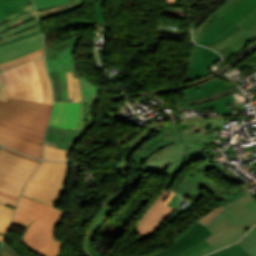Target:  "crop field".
<instances>
[{"mask_svg": "<svg viewBox=\"0 0 256 256\" xmlns=\"http://www.w3.org/2000/svg\"><path fill=\"white\" fill-rule=\"evenodd\" d=\"M16 213L35 219L23 235L24 245L41 256H58L64 242L54 240V236L64 212L21 197Z\"/></svg>", "mask_w": 256, "mask_h": 256, "instance_id": "1", "label": "crop field"}, {"mask_svg": "<svg viewBox=\"0 0 256 256\" xmlns=\"http://www.w3.org/2000/svg\"><path fill=\"white\" fill-rule=\"evenodd\" d=\"M51 105L9 98L0 101V130L43 145Z\"/></svg>", "mask_w": 256, "mask_h": 256, "instance_id": "2", "label": "crop field"}, {"mask_svg": "<svg viewBox=\"0 0 256 256\" xmlns=\"http://www.w3.org/2000/svg\"><path fill=\"white\" fill-rule=\"evenodd\" d=\"M171 140L174 144L149 157L145 165V172L169 177L163 186L165 189L184 165L200 158L210 161L203 151L212 144L208 137L185 134Z\"/></svg>", "mask_w": 256, "mask_h": 256, "instance_id": "3", "label": "crop field"}, {"mask_svg": "<svg viewBox=\"0 0 256 256\" xmlns=\"http://www.w3.org/2000/svg\"><path fill=\"white\" fill-rule=\"evenodd\" d=\"M239 201L248 208L254 216L240 220L227 207L213 220L205 225L213 234L207 240L215 250L238 240L254 223H256V201L248 194Z\"/></svg>", "mask_w": 256, "mask_h": 256, "instance_id": "4", "label": "crop field"}, {"mask_svg": "<svg viewBox=\"0 0 256 256\" xmlns=\"http://www.w3.org/2000/svg\"><path fill=\"white\" fill-rule=\"evenodd\" d=\"M79 38L80 36H77L46 49V62L49 73L60 72L63 101H67L66 71H73L74 77H78L72 53ZM79 81L82 100L86 102H96L98 88L89 83L84 77L79 78Z\"/></svg>", "mask_w": 256, "mask_h": 256, "instance_id": "5", "label": "crop field"}, {"mask_svg": "<svg viewBox=\"0 0 256 256\" xmlns=\"http://www.w3.org/2000/svg\"><path fill=\"white\" fill-rule=\"evenodd\" d=\"M97 232V229L92 228L88 236L87 250L91 256H100L92 246V241ZM210 235L212 234L204 225L194 222L169 246L145 256H201L214 251L211 245L204 240Z\"/></svg>", "mask_w": 256, "mask_h": 256, "instance_id": "6", "label": "crop field"}, {"mask_svg": "<svg viewBox=\"0 0 256 256\" xmlns=\"http://www.w3.org/2000/svg\"><path fill=\"white\" fill-rule=\"evenodd\" d=\"M4 74L9 97L42 102V88L33 61Z\"/></svg>", "mask_w": 256, "mask_h": 256, "instance_id": "7", "label": "crop field"}, {"mask_svg": "<svg viewBox=\"0 0 256 256\" xmlns=\"http://www.w3.org/2000/svg\"><path fill=\"white\" fill-rule=\"evenodd\" d=\"M214 166L205 161L192 170L185 174L179 185L175 189V192L179 193V195L184 199L186 195L193 197V199L188 203V205L184 208L183 212L186 213L188 209L194 206V204L200 199V197L204 194L200 189L203 187L206 191H208L212 196L222 193L226 191L212 179L207 177L204 173L210 171Z\"/></svg>", "mask_w": 256, "mask_h": 256, "instance_id": "8", "label": "crop field"}, {"mask_svg": "<svg viewBox=\"0 0 256 256\" xmlns=\"http://www.w3.org/2000/svg\"><path fill=\"white\" fill-rule=\"evenodd\" d=\"M68 168V162H56L46 183L29 181L23 196L54 206L63 192Z\"/></svg>", "mask_w": 256, "mask_h": 256, "instance_id": "9", "label": "crop field"}, {"mask_svg": "<svg viewBox=\"0 0 256 256\" xmlns=\"http://www.w3.org/2000/svg\"><path fill=\"white\" fill-rule=\"evenodd\" d=\"M235 25L241 29L222 40L212 49L218 51L226 59L256 38V9L243 17Z\"/></svg>", "mask_w": 256, "mask_h": 256, "instance_id": "10", "label": "crop field"}, {"mask_svg": "<svg viewBox=\"0 0 256 256\" xmlns=\"http://www.w3.org/2000/svg\"><path fill=\"white\" fill-rule=\"evenodd\" d=\"M31 174L22 166L0 159V190L19 197ZM0 202L16 207L18 201L0 195Z\"/></svg>", "mask_w": 256, "mask_h": 256, "instance_id": "11", "label": "crop field"}, {"mask_svg": "<svg viewBox=\"0 0 256 256\" xmlns=\"http://www.w3.org/2000/svg\"><path fill=\"white\" fill-rule=\"evenodd\" d=\"M175 193L163 191L149 207L145 215L137 224L139 239L150 237L155 230L170 216L175 210L166 204Z\"/></svg>", "mask_w": 256, "mask_h": 256, "instance_id": "12", "label": "crop field"}, {"mask_svg": "<svg viewBox=\"0 0 256 256\" xmlns=\"http://www.w3.org/2000/svg\"><path fill=\"white\" fill-rule=\"evenodd\" d=\"M220 56L207 48L194 45L189 57V70L182 82L208 74L207 68L217 62Z\"/></svg>", "mask_w": 256, "mask_h": 256, "instance_id": "13", "label": "crop field"}, {"mask_svg": "<svg viewBox=\"0 0 256 256\" xmlns=\"http://www.w3.org/2000/svg\"><path fill=\"white\" fill-rule=\"evenodd\" d=\"M43 33L15 43L0 47V64L23 55L32 53L43 47ZM1 72V71H0Z\"/></svg>", "mask_w": 256, "mask_h": 256, "instance_id": "14", "label": "crop field"}, {"mask_svg": "<svg viewBox=\"0 0 256 256\" xmlns=\"http://www.w3.org/2000/svg\"><path fill=\"white\" fill-rule=\"evenodd\" d=\"M80 103H60L56 102L52 112L51 125L62 128L76 130L79 120Z\"/></svg>", "mask_w": 256, "mask_h": 256, "instance_id": "15", "label": "crop field"}, {"mask_svg": "<svg viewBox=\"0 0 256 256\" xmlns=\"http://www.w3.org/2000/svg\"><path fill=\"white\" fill-rule=\"evenodd\" d=\"M0 145L19 151L31 157L41 158L42 145L19 136L0 131Z\"/></svg>", "mask_w": 256, "mask_h": 256, "instance_id": "16", "label": "crop field"}, {"mask_svg": "<svg viewBox=\"0 0 256 256\" xmlns=\"http://www.w3.org/2000/svg\"><path fill=\"white\" fill-rule=\"evenodd\" d=\"M231 87H233V85L213 78L203 84L183 91L184 98L180 99L179 101L204 98L206 96L222 92L224 89H229Z\"/></svg>", "mask_w": 256, "mask_h": 256, "instance_id": "17", "label": "crop field"}, {"mask_svg": "<svg viewBox=\"0 0 256 256\" xmlns=\"http://www.w3.org/2000/svg\"><path fill=\"white\" fill-rule=\"evenodd\" d=\"M240 0H225L195 30L194 41L197 43L224 15Z\"/></svg>", "mask_w": 256, "mask_h": 256, "instance_id": "18", "label": "crop field"}, {"mask_svg": "<svg viewBox=\"0 0 256 256\" xmlns=\"http://www.w3.org/2000/svg\"><path fill=\"white\" fill-rule=\"evenodd\" d=\"M256 8V0H241L238 2L229 12H227L224 16L221 18L232 23L228 28H226L222 33H220L210 44L216 42L221 36L225 35L232 29H234V24L240 20L243 16L248 14L250 11Z\"/></svg>", "mask_w": 256, "mask_h": 256, "instance_id": "19", "label": "crop field"}, {"mask_svg": "<svg viewBox=\"0 0 256 256\" xmlns=\"http://www.w3.org/2000/svg\"><path fill=\"white\" fill-rule=\"evenodd\" d=\"M157 127L156 124H151L148 126L143 132L139 135L135 136L127 145L126 147L128 150L126 151L124 157L118 163L116 169H124L127 161L131 159V154L137 149V147L144 142L147 137L151 134V132ZM143 138V139H141Z\"/></svg>", "mask_w": 256, "mask_h": 256, "instance_id": "20", "label": "crop field"}, {"mask_svg": "<svg viewBox=\"0 0 256 256\" xmlns=\"http://www.w3.org/2000/svg\"><path fill=\"white\" fill-rule=\"evenodd\" d=\"M246 101H247L246 97L240 94L239 92H237V93L224 96L217 100L209 101L199 105H193L192 108H217V107L238 104Z\"/></svg>", "mask_w": 256, "mask_h": 256, "instance_id": "21", "label": "crop field"}, {"mask_svg": "<svg viewBox=\"0 0 256 256\" xmlns=\"http://www.w3.org/2000/svg\"><path fill=\"white\" fill-rule=\"evenodd\" d=\"M34 62L42 83L43 102L52 105L53 103L52 92H51L50 83H49V79H48L46 68H45L44 58L34 60Z\"/></svg>", "mask_w": 256, "mask_h": 256, "instance_id": "22", "label": "crop field"}, {"mask_svg": "<svg viewBox=\"0 0 256 256\" xmlns=\"http://www.w3.org/2000/svg\"><path fill=\"white\" fill-rule=\"evenodd\" d=\"M31 3V0H0V21Z\"/></svg>", "mask_w": 256, "mask_h": 256, "instance_id": "23", "label": "crop field"}, {"mask_svg": "<svg viewBox=\"0 0 256 256\" xmlns=\"http://www.w3.org/2000/svg\"><path fill=\"white\" fill-rule=\"evenodd\" d=\"M41 56H44L43 48L38 50V51H36V52H34V53H32V54H29V55H26L24 57L12 60V61L4 63V64H1L0 65V70L2 72H4V71H6L8 69H11V68H14L16 66L22 65V64L27 63L29 61L37 59V58H39Z\"/></svg>", "mask_w": 256, "mask_h": 256, "instance_id": "24", "label": "crop field"}, {"mask_svg": "<svg viewBox=\"0 0 256 256\" xmlns=\"http://www.w3.org/2000/svg\"><path fill=\"white\" fill-rule=\"evenodd\" d=\"M68 78V101L72 99V102L81 101V93L79 87L78 78H73L72 72H67Z\"/></svg>", "mask_w": 256, "mask_h": 256, "instance_id": "25", "label": "crop field"}, {"mask_svg": "<svg viewBox=\"0 0 256 256\" xmlns=\"http://www.w3.org/2000/svg\"><path fill=\"white\" fill-rule=\"evenodd\" d=\"M0 158L10 161V162H13V163H16V164H19V165H22L32 171H34L35 167L38 165V163H35L33 161L16 156L14 154L3 151L1 149H0Z\"/></svg>", "mask_w": 256, "mask_h": 256, "instance_id": "26", "label": "crop field"}, {"mask_svg": "<svg viewBox=\"0 0 256 256\" xmlns=\"http://www.w3.org/2000/svg\"><path fill=\"white\" fill-rule=\"evenodd\" d=\"M54 163L52 161H43L40 163L30 180L45 183Z\"/></svg>", "mask_w": 256, "mask_h": 256, "instance_id": "27", "label": "crop field"}, {"mask_svg": "<svg viewBox=\"0 0 256 256\" xmlns=\"http://www.w3.org/2000/svg\"><path fill=\"white\" fill-rule=\"evenodd\" d=\"M238 243L251 256H256V226Z\"/></svg>", "mask_w": 256, "mask_h": 256, "instance_id": "28", "label": "crop field"}, {"mask_svg": "<svg viewBox=\"0 0 256 256\" xmlns=\"http://www.w3.org/2000/svg\"><path fill=\"white\" fill-rule=\"evenodd\" d=\"M229 25L228 22L221 19L198 43L206 46Z\"/></svg>", "mask_w": 256, "mask_h": 256, "instance_id": "29", "label": "crop field"}, {"mask_svg": "<svg viewBox=\"0 0 256 256\" xmlns=\"http://www.w3.org/2000/svg\"><path fill=\"white\" fill-rule=\"evenodd\" d=\"M70 152L44 145L43 159L67 160Z\"/></svg>", "mask_w": 256, "mask_h": 256, "instance_id": "30", "label": "crop field"}, {"mask_svg": "<svg viewBox=\"0 0 256 256\" xmlns=\"http://www.w3.org/2000/svg\"><path fill=\"white\" fill-rule=\"evenodd\" d=\"M96 2H97L96 8H95L96 22H98L99 31L106 33V31H105V29H106V20H105V16H104L103 7L101 6V4L103 3V0H96Z\"/></svg>", "mask_w": 256, "mask_h": 256, "instance_id": "31", "label": "crop field"}, {"mask_svg": "<svg viewBox=\"0 0 256 256\" xmlns=\"http://www.w3.org/2000/svg\"><path fill=\"white\" fill-rule=\"evenodd\" d=\"M227 207L232 210L240 219L247 218L252 215L251 212L246 209L238 200L229 204Z\"/></svg>", "mask_w": 256, "mask_h": 256, "instance_id": "32", "label": "crop field"}, {"mask_svg": "<svg viewBox=\"0 0 256 256\" xmlns=\"http://www.w3.org/2000/svg\"><path fill=\"white\" fill-rule=\"evenodd\" d=\"M15 208L0 203V220L4 222H11ZM4 236L0 235V241H3Z\"/></svg>", "mask_w": 256, "mask_h": 256, "instance_id": "33", "label": "crop field"}, {"mask_svg": "<svg viewBox=\"0 0 256 256\" xmlns=\"http://www.w3.org/2000/svg\"><path fill=\"white\" fill-rule=\"evenodd\" d=\"M66 1L69 0H33L37 11L60 5Z\"/></svg>", "mask_w": 256, "mask_h": 256, "instance_id": "34", "label": "crop field"}, {"mask_svg": "<svg viewBox=\"0 0 256 256\" xmlns=\"http://www.w3.org/2000/svg\"><path fill=\"white\" fill-rule=\"evenodd\" d=\"M245 194H247V193L238 190L237 192H235V193H233V194H231V195L221 199L220 205L226 206L227 204L231 203L235 199H237V198H239V197H241V196H243Z\"/></svg>", "mask_w": 256, "mask_h": 256, "instance_id": "35", "label": "crop field"}, {"mask_svg": "<svg viewBox=\"0 0 256 256\" xmlns=\"http://www.w3.org/2000/svg\"><path fill=\"white\" fill-rule=\"evenodd\" d=\"M32 221L33 219L25 218L16 214L12 224L27 228Z\"/></svg>", "mask_w": 256, "mask_h": 256, "instance_id": "36", "label": "crop field"}, {"mask_svg": "<svg viewBox=\"0 0 256 256\" xmlns=\"http://www.w3.org/2000/svg\"><path fill=\"white\" fill-rule=\"evenodd\" d=\"M233 256H250L238 243L228 247Z\"/></svg>", "mask_w": 256, "mask_h": 256, "instance_id": "37", "label": "crop field"}, {"mask_svg": "<svg viewBox=\"0 0 256 256\" xmlns=\"http://www.w3.org/2000/svg\"><path fill=\"white\" fill-rule=\"evenodd\" d=\"M222 206H217L216 208L209 211L207 214H205L201 219L198 221L206 224L210 219H212L217 213H219L222 210Z\"/></svg>", "mask_w": 256, "mask_h": 256, "instance_id": "38", "label": "crop field"}, {"mask_svg": "<svg viewBox=\"0 0 256 256\" xmlns=\"http://www.w3.org/2000/svg\"><path fill=\"white\" fill-rule=\"evenodd\" d=\"M8 99V90L3 77V74H0V100L7 101Z\"/></svg>", "mask_w": 256, "mask_h": 256, "instance_id": "39", "label": "crop field"}, {"mask_svg": "<svg viewBox=\"0 0 256 256\" xmlns=\"http://www.w3.org/2000/svg\"><path fill=\"white\" fill-rule=\"evenodd\" d=\"M87 106V122H86V127L84 128V131H87L88 128L92 125L93 123V117H94V105L93 104H86ZM92 114V116H90Z\"/></svg>", "mask_w": 256, "mask_h": 256, "instance_id": "40", "label": "crop field"}, {"mask_svg": "<svg viewBox=\"0 0 256 256\" xmlns=\"http://www.w3.org/2000/svg\"><path fill=\"white\" fill-rule=\"evenodd\" d=\"M83 132H78L76 131L74 136L72 137V139L70 140V142L67 144V146L65 147V150L67 151H71L76 147V143L77 141L81 138V136L83 135Z\"/></svg>", "mask_w": 256, "mask_h": 256, "instance_id": "41", "label": "crop field"}, {"mask_svg": "<svg viewBox=\"0 0 256 256\" xmlns=\"http://www.w3.org/2000/svg\"><path fill=\"white\" fill-rule=\"evenodd\" d=\"M86 122V106L85 104L81 103V113H80V120L78 122L77 130L82 131L85 127Z\"/></svg>", "mask_w": 256, "mask_h": 256, "instance_id": "42", "label": "crop field"}, {"mask_svg": "<svg viewBox=\"0 0 256 256\" xmlns=\"http://www.w3.org/2000/svg\"><path fill=\"white\" fill-rule=\"evenodd\" d=\"M208 256H232V255H231L230 251L228 250V248H225L223 250L214 252Z\"/></svg>", "mask_w": 256, "mask_h": 256, "instance_id": "43", "label": "crop field"}, {"mask_svg": "<svg viewBox=\"0 0 256 256\" xmlns=\"http://www.w3.org/2000/svg\"><path fill=\"white\" fill-rule=\"evenodd\" d=\"M0 256H16V255L13 252H11L10 250H8L7 248L3 247L0 250Z\"/></svg>", "mask_w": 256, "mask_h": 256, "instance_id": "44", "label": "crop field"}, {"mask_svg": "<svg viewBox=\"0 0 256 256\" xmlns=\"http://www.w3.org/2000/svg\"><path fill=\"white\" fill-rule=\"evenodd\" d=\"M182 200L178 197V195L176 194L175 196H174V198L171 200V202H170V206H173V207H175V208H177V206L180 204V202H181Z\"/></svg>", "mask_w": 256, "mask_h": 256, "instance_id": "45", "label": "crop field"}, {"mask_svg": "<svg viewBox=\"0 0 256 256\" xmlns=\"http://www.w3.org/2000/svg\"><path fill=\"white\" fill-rule=\"evenodd\" d=\"M9 225H10V224H8V223L0 222V233L6 234Z\"/></svg>", "mask_w": 256, "mask_h": 256, "instance_id": "46", "label": "crop field"}, {"mask_svg": "<svg viewBox=\"0 0 256 256\" xmlns=\"http://www.w3.org/2000/svg\"><path fill=\"white\" fill-rule=\"evenodd\" d=\"M1 149L6 150V151H9V152L14 153V154H17V155H19V156L25 157V158H27V159L33 160V161H35V162H38V163L40 162L39 160H35V159L30 158V157H27V156L18 154V153L14 152V151H12V150H10V149L3 148V147H1Z\"/></svg>", "mask_w": 256, "mask_h": 256, "instance_id": "47", "label": "crop field"}, {"mask_svg": "<svg viewBox=\"0 0 256 256\" xmlns=\"http://www.w3.org/2000/svg\"><path fill=\"white\" fill-rule=\"evenodd\" d=\"M216 111L218 112V114H231L230 111L227 109V107L218 108L216 109Z\"/></svg>", "mask_w": 256, "mask_h": 256, "instance_id": "48", "label": "crop field"}, {"mask_svg": "<svg viewBox=\"0 0 256 256\" xmlns=\"http://www.w3.org/2000/svg\"><path fill=\"white\" fill-rule=\"evenodd\" d=\"M37 33H41V31H40V32L33 33V34H30V35H26V36H23V37H20V38L14 39V40H10V41H7V42H4V43H1L0 45L5 44V43H10V42L18 41V40H20V39L27 38V37L32 36V35H35V34H37Z\"/></svg>", "mask_w": 256, "mask_h": 256, "instance_id": "49", "label": "crop field"}, {"mask_svg": "<svg viewBox=\"0 0 256 256\" xmlns=\"http://www.w3.org/2000/svg\"><path fill=\"white\" fill-rule=\"evenodd\" d=\"M240 28H235L234 30H232L231 32H229L228 34H226L225 36L221 37L216 43L212 44L211 46H209V48L213 47L215 44H217L219 41H221L222 39H224L225 37L229 36L230 34H232L233 32L237 31Z\"/></svg>", "mask_w": 256, "mask_h": 256, "instance_id": "50", "label": "crop field"}, {"mask_svg": "<svg viewBox=\"0 0 256 256\" xmlns=\"http://www.w3.org/2000/svg\"><path fill=\"white\" fill-rule=\"evenodd\" d=\"M0 194H2V195H4V196H7V197H9V198H13V199H19L18 197H15V196H12V195H9V194H7V193H4V192H1L0 191Z\"/></svg>", "mask_w": 256, "mask_h": 256, "instance_id": "51", "label": "crop field"}, {"mask_svg": "<svg viewBox=\"0 0 256 256\" xmlns=\"http://www.w3.org/2000/svg\"><path fill=\"white\" fill-rule=\"evenodd\" d=\"M45 144L49 145V146H52V147H55V148L57 147V144L51 143V142L46 141V140H45Z\"/></svg>", "mask_w": 256, "mask_h": 256, "instance_id": "52", "label": "crop field"}, {"mask_svg": "<svg viewBox=\"0 0 256 256\" xmlns=\"http://www.w3.org/2000/svg\"><path fill=\"white\" fill-rule=\"evenodd\" d=\"M3 246L7 247L8 249L12 250L11 248H9L7 245L3 244ZM13 251V250H12ZM15 254H17L18 256H21L19 255L18 253H16L15 251H13Z\"/></svg>", "mask_w": 256, "mask_h": 256, "instance_id": "53", "label": "crop field"}, {"mask_svg": "<svg viewBox=\"0 0 256 256\" xmlns=\"http://www.w3.org/2000/svg\"><path fill=\"white\" fill-rule=\"evenodd\" d=\"M173 1H174V0H166V3L172 4Z\"/></svg>", "mask_w": 256, "mask_h": 256, "instance_id": "54", "label": "crop field"}, {"mask_svg": "<svg viewBox=\"0 0 256 256\" xmlns=\"http://www.w3.org/2000/svg\"><path fill=\"white\" fill-rule=\"evenodd\" d=\"M178 1H179V0H175V1L173 2V4H177V3H178Z\"/></svg>", "mask_w": 256, "mask_h": 256, "instance_id": "55", "label": "crop field"}, {"mask_svg": "<svg viewBox=\"0 0 256 256\" xmlns=\"http://www.w3.org/2000/svg\"><path fill=\"white\" fill-rule=\"evenodd\" d=\"M254 99H256V96H254V97H251V101H252V100H254Z\"/></svg>", "mask_w": 256, "mask_h": 256, "instance_id": "56", "label": "crop field"}, {"mask_svg": "<svg viewBox=\"0 0 256 256\" xmlns=\"http://www.w3.org/2000/svg\"><path fill=\"white\" fill-rule=\"evenodd\" d=\"M1 244H2V242H0V247H1Z\"/></svg>", "mask_w": 256, "mask_h": 256, "instance_id": "57", "label": "crop field"}, {"mask_svg": "<svg viewBox=\"0 0 256 256\" xmlns=\"http://www.w3.org/2000/svg\"><path fill=\"white\" fill-rule=\"evenodd\" d=\"M2 41L0 40V43H1Z\"/></svg>", "mask_w": 256, "mask_h": 256, "instance_id": "58", "label": "crop field"}]
</instances>
